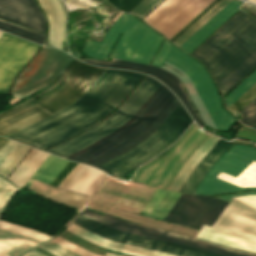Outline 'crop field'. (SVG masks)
Returning <instances> with one entry per match:
<instances>
[{
  "label": "crop field",
  "mask_w": 256,
  "mask_h": 256,
  "mask_svg": "<svg viewBox=\"0 0 256 256\" xmlns=\"http://www.w3.org/2000/svg\"><path fill=\"white\" fill-rule=\"evenodd\" d=\"M242 119L240 120L242 123L251 126L256 122V98L248 104L241 112Z\"/></svg>",
  "instance_id": "obj_33"
},
{
  "label": "crop field",
  "mask_w": 256,
  "mask_h": 256,
  "mask_svg": "<svg viewBox=\"0 0 256 256\" xmlns=\"http://www.w3.org/2000/svg\"><path fill=\"white\" fill-rule=\"evenodd\" d=\"M231 143L219 139L218 142L211 148V150L205 155V157L198 163L194 168L180 191L193 193L194 189L208 171V169L214 164V162L221 156V154L226 150V148Z\"/></svg>",
  "instance_id": "obj_22"
},
{
  "label": "crop field",
  "mask_w": 256,
  "mask_h": 256,
  "mask_svg": "<svg viewBox=\"0 0 256 256\" xmlns=\"http://www.w3.org/2000/svg\"><path fill=\"white\" fill-rule=\"evenodd\" d=\"M242 3L243 2L241 1L232 0L180 47L190 53L234 13H236L239 10L237 7Z\"/></svg>",
  "instance_id": "obj_20"
},
{
  "label": "crop field",
  "mask_w": 256,
  "mask_h": 256,
  "mask_svg": "<svg viewBox=\"0 0 256 256\" xmlns=\"http://www.w3.org/2000/svg\"><path fill=\"white\" fill-rule=\"evenodd\" d=\"M76 165L77 163L69 161L50 185L58 187ZM106 175L96 168L78 164L59 187L92 196Z\"/></svg>",
  "instance_id": "obj_17"
},
{
  "label": "crop field",
  "mask_w": 256,
  "mask_h": 256,
  "mask_svg": "<svg viewBox=\"0 0 256 256\" xmlns=\"http://www.w3.org/2000/svg\"><path fill=\"white\" fill-rule=\"evenodd\" d=\"M8 139H5L3 137H0V150L2 147L7 143Z\"/></svg>",
  "instance_id": "obj_41"
},
{
  "label": "crop field",
  "mask_w": 256,
  "mask_h": 256,
  "mask_svg": "<svg viewBox=\"0 0 256 256\" xmlns=\"http://www.w3.org/2000/svg\"><path fill=\"white\" fill-rule=\"evenodd\" d=\"M246 193L256 192L237 194ZM222 196L228 195L217 197ZM222 198L230 201L229 204L212 227L203 225L197 238L236 249L256 252V194Z\"/></svg>",
  "instance_id": "obj_5"
},
{
  "label": "crop field",
  "mask_w": 256,
  "mask_h": 256,
  "mask_svg": "<svg viewBox=\"0 0 256 256\" xmlns=\"http://www.w3.org/2000/svg\"><path fill=\"white\" fill-rule=\"evenodd\" d=\"M255 97H256V84H254L248 91H246L240 98H238L227 109L236 115L243 107H245Z\"/></svg>",
  "instance_id": "obj_32"
},
{
  "label": "crop field",
  "mask_w": 256,
  "mask_h": 256,
  "mask_svg": "<svg viewBox=\"0 0 256 256\" xmlns=\"http://www.w3.org/2000/svg\"><path fill=\"white\" fill-rule=\"evenodd\" d=\"M82 60L85 62L97 64L100 66H109V67H115V68L130 69V70L140 71V72H144V73L151 74V75L155 76L160 81H162L163 83L168 85L180 97V99L186 105V107L190 111V113L193 116V118L195 119V121L197 123H199L201 126H203V123L201 122L197 112L195 111L191 102L189 101L186 94L184 93L179 79L177 77H175L174 75H172L156 66L122 61V60H116V59H112L111 62H101V61H95V60H90V59H82Z\"/></svg>",
  "instance_id": "obj_18"
},
{
  "label": "crop field",
  "mask_w": 256,
  "mask_h": 256,
  "mask_svg": "<svg viewBox=\"0 0 256 256\" xmlns=\"http://www.w3.org/2000/svg\"><path fill=\"white\" fill-rule=\"evenodd\" d=\"M96 245L103 246L109 249H113L119 252L123 253H128V254H133L137 256H176V255H171L167 253H162L158 251H153V250H148L144 248H139L135 246H130L126 244H121L117 242H113L110 240H107L105 238L99 237L73 223L70 224V226L66 229Z\"/></svg>",
  "instance_id": "obj_21"
},
{
  "label": "crop field",
  "mask_w": 256,
  "mask_h": 256,
  "mask_svg": "<svg viewBox=\"0 0 256 256\" xmlns=\"http://www.w3.org/2000/svg\"><path fill=\"white\" fill-rule=\"evenodd\" d=\"M244 9H246L247 11L253 13L254 15H256V6H253L251 4L248 3H244L242 6H240Z\"/></svg>",
  "instance_id": "obj_39"
},
{
  "label": "crop field",
  "mask_w": 256,
  "mask_h": 256,
  "mask_svg": "<svg viewBox=\"0 0 256 256\" xmlns=\"http://www.w3.org/2000/svg\"><path fill=\"white\" fill-rule=\"evenodd\" d=\"M0 17L44 33L45 21L34 0H0Z\"/></svg>",
  "instance_id": "obj_19"
},
{
  "label": "crop field",
  "mask_w": 256,
  "mask_h": 256,
  "mask_svg": "<svg viewBox=\"0 0 256 256\" xmlns=\"http://www.w3.org/2000/svg\"><path fill=\"white\" fill-rule=\"evenodd\" d=\"M52 241L66 247V248H68V249H70V250H72V251H74V252H76V253H78L82 256H98V255H94V254H92V253H90V252H88V251H86V250H84V249H82V248H80V247L62 239V238H60V237H57V238L53 239Z\"/></svg>",
  "instance_id": "obj_36"
},
{
  "label": "crop field",
  "mask_w": 256,
  "mask_h": 256,
  "mask_svg": "<svg viewBox=\"0 0 256 256\" xmlns=\"http://www.w3.org/2000/svg\"><path fill=\"white\" fill-rule=\"evenodd\" d=\"M107 226H110L112 228L118 229L120 231L128 232V233H133L141 236H146L150 238H155L163 241H168L172 243H177L225 256H256V254H250V253H245L241 252L238 250L218 246L215 244H211L208 242H204L201 240L194 239L189 236H184V235H179V234H174V233H169L153 228H148L144 226H139L131 223H127L125 221L119 220L117 218H114L110 215H105L104 217L95 214L89 210L81 212Z\"/></svg>",
  "instance_id": "obj_13"
},
{
  "label": "crop field",
  "mask_w": 256,
  "mask_h": 256,
  "mask_svg": "<svg viewBox=\"0 0 256 256\" xmlns=\"http://www.w3.org/2000/svg\"><path fill=\"white\" fill-rule=\"evenodd\" d=\"M0 35H1V33H0Z\"/></svg>",
  "instance_id": "obj_46"
},
{
  "label": "crop field",
  "mask_w": 256,
  "mask_h": 256,
  "mask_svg": "<svg viewBox=\"0 0 256 256\" xmlns=\"http://www.w3.org/2000/svg\"><path fill=\"white\" fill-rule=\"evenodd\" d=\"M174 97L175 96L161 84L137 113L117 131L66 158L89 163L110 153L132 140L148 127Z\"/></svg>",
  "instance_id": "obj_7"
},
{
  "label": "crop field",
  "mask_w": 256,
  "mask_h": 256,
  "mask_svg": "<svg viewBox=\"0 0 256 256\" xmlns=\"http://www.w3.org/2000/svg\"><path fill=\"white\" fill-rule=\"evenodd\" d=\"M105 256H125V255H119V254H114V253L107 252Z\"/></svg>",
  "instance_id": "obj_42"
},
{
  "label": "crop field",
  "mask_w": 256,
  "mask_h": 256,
  "mask_svg": "<svg viewBox=\"0 0 256 256\" xmlns=\"http://www.w3.org/2000/svg\"><path fill=\"white\" fill-rule=\"evenodd\" d=\"M73 223L113 241L149 248L180 256H221L181 245L154 240L146 237L132 235L107 227L83 214H79Z\"/></svg>",
  "instance_id": "obj_15"
},
{
  "label": "crop field",
  "mask_w": 256,
  "mask_h": 256,
  "mask_svg": "<svg viewBox=\"0 0 256 256\" xmlns=\"http://www.w3.org/2000/svg\"><path fill=\"white\" fill-rule=\"evenodd\" d=\"M73 59L54 48L44 47L17 79L12 95L22 99L53 82Z\"/></svg>",
  "instance_id": "obj_11"
},
{
  "label": "crop field",
  "mask_w": 256,
  "mask_h": 256,
  "mask_svg": "<svg viewBox=\"0 0 256 256\" xmlns=\"http://www.w3.org/2000/svg\"><path fill=\"white\" fill-rule=\"evenodd\" d=\"M213 0H165L144 20L169 39Z\"/></svg>",
  "instance_id": "obj_14"
},
{
  "label": "crop field",
  "mask_w": 256,
  "mask_h": 256,
  "mask_svg": "<svg viewBox=\"0 0 256 256\" xmlns=\"http://www.w3.org/2000/svg\"><path fill=\"white\" fill-rule=\"evenodd\" d=\"M29 149L30 147L17 143L6 158L1 162L0 174L7 177Z\"/></svg>",
  "instance_id": "obj_28"
},
{
  "label": "crop field",
  "mask_w": 256,
  "mask_h": 256,
  "mask_svg": "<svg viewBox=\"0 0 256 256\" xmlns=\"http://www.w3.org/2000/svg\"><path fill=\"white\" fill-rule=\"evenodd\" d=\"M26 255H28V256H45V255H43V254H41V253H39V252H37L35 250L27 253Z\"/></svg>",
  "instance_id": "obj_40"
},
{
  "label": "crop field",
  "mask_w": 256,
  "mask_h": 256,
  "mask_svg": "<svg viewBox=\"0 0 256 256\" xmlns=\"http://www.w3.org/2000/svg\"><path fill=\"white\" fill-rule=\"evenodd\" d=\"M39 47L40 45L6 33L2 35L0 38V92H7L13 78Z\"/></svg>",
  "instance_id": "obj_16"
},
{
  "label": "crop field",
  "mask_w": 256,
  "mask_h": 256,
  "mask_svg": "<svg viewBox=\"0 0 256 256\" xmlns=\"http://www.w3.org/2000/svg\"><path fill=\"white\" fill-rule=\"evenodd\" d=\"M106 70L86 65L74 58L60 77L48 88L0 113V135L7 137L72 105L92 87ZM64 78V82L57 89L30 104L22 106L55 88Z\"/></svg>",
  "instance_id": "obj_4"
},
{
  "label": "crop field",
  "mask_w": 256,
  "mask_h": 256,
  "mask_svg": "<svg viewBox=\"0 0 256 256\" xmlns=\"http://www.w3.org/2000/svg\"><path fill=\"white\" fill-rule=\"evenodd\" d=\"M48 156L49 154L32 148L8 179L19 188L23 187Z\"/></svg>",
  "instance_id": "obj_24"
},
{
  "label": "crop field",
  "mask_w": 256,
  "mask_h": 256,
  "mask_svg": "<svg viewBox=\"0 0 256 256\" xmlns=\"http://www.w3.org/2000/svg\"><path fill=\"white\" fill-rule=\"evenodd\" d=\"M219 0H214L209 6H207L200 14H198L192 21H190L183 29H181L170 40L173 42L180 37L188 28H190L199 18H201L209 9H211Z\"/></svg>",
  "instance_id": "obj_38"
},
{
  "label": "crop field",
  "mask_w": 256,
  "mask_h": 256,
  "mask_svg": "<svg viewBox=\"0 0 256 256\" xmlns=\"http://www.w3.org/2000/svg\"><path fill=\"white\" fill-rule=\"evenodd\" d=\"M108 1L111 4H113L116 8L122 11L129 12L142 0H108Z\"/></svg>",
  "instance_id": "obj_37"
},
{
  "label": "crop field",
  "mask_w": 256,
  "mask_h": 256,
  "mask_svg": "<svg viewBox=\"0 0 256 256\" xmlns=\"http://www.w3.org/2000/svg\"><path fill=\"white\" fill-rule=\"evenodd\" d=\"M67 162L68 161H65L59 157L50 155L48 159L43 163V165L41 164L42 166L27 182L25 187L28 188L35 179L50 184Z\"/></svg>",
  "instance_id": "obj_27"
},
{
  "label": "crop field",
  "mask_w": 256,
  "mask_h": 256,
  "mask_svg": "<svg viewBox=\"0 0 256 256\" xmlns=\"http://www.w3.org/2000/svg\"><path fill=\"white\" fill-rule=\"evenodd\" d=\"M235 154L256 160V148H252L244 145L232 144L230 148L223 154V156L211 168V170L208 172V174L205 176V178L202 180V182L196 189L195 193L219 194V193L236 192L240 190L256 189V187H246V186H256V161L250 160L244 157H240ZM214 181L216 183H220V184H224L232 187H246V188H232V187L213 183Z\"/></svg>",
  "instance_id": "obj_6"
},
{
  "label": "crop field",
  "mask_w": 256,
  "mask_h": 256,
  "mask_svg": "<svg viewBox=\"0 0 256 256\" xmlns=\"http://www.w3.org/2000/svg\"><path fill=\"white\" fill-rule=\"evenodd\" d=\"M23 256H25V255H23Z\"/></svg>",
  "instance_id": "obj_45"
},
{
  "label": "crop field",
  "mask_w": 256,
  "mask_h": 256,
  "mask_svg": "<svg viewBox=\"0 0 256 256\" xmlns=\"http://www.w3.org/2000/svg\"><path fill=\"white\" fill-rule=\"evenodd\" d=\"M144 75L108 69L72 106L7 138L44 150L100 121Z\"/></svg>",
  "instance_id": "obj_2"
},
{
  "label": "crop field",
  "mask_w": 256,
  "mask_h": 256,
  "mask_svg": "<svg viewBox=\"0 0 256 256\" xmlns=\"http://www.w3.org/2000/svg\"><path fill=\"white\" fill-rule=\"evenodd\" d=\"M119 36L110 57L146 64H149L164 38L136 20L134 16L123 13L105 34L101 43L86 40L85 53L94 58L107 60ZM165 61L181 69L190 78L216 128L229 129L236 120L223 109L215 85L199 62L180 51L167 39L152 64L162 67Z\"/></svg>",
  "instance_id": "obj_1"
},
{
  "label": "crop field",
  "mask_w": 256,
  "mask_h": 256,
  "mask_svg": "<svg viewBox=\"0 0 256 256\" xmlns=\"http://www.w3.org/2000/svg\"><path fill=\"white\" fill-rule=\"evenodd\" d=\"M256 83V70L223 98L226 108Z\"/></svg>",
  "instance_id": "obj_31"
},
{
  "label": "crop field",
  "mask_w": 256,
  "mask_h": 256,
  "mask_svg": "<svg viewBox=\"0 0 256 256\" xmlns=\"http://www.w3.org/2000/svg\"><path fill=\"white\" fill-rule=\"evenodd\" d=\"M219 138L210 135L208 139L199 147V149L190 157V159L184 164L177 177L169 187L170 190L179 191L193 168L204 157V155L210 150V148L217 142Z\"/></svg>",
  "instance_id": "obj_26"
},
{
  "label": "crop field",
  "mask_w": 256,
  "mask_h": 256,
  "mask_svg": "<svg viewBox=\"0 0 256 256\" xmlns=\"http://www.w3.org/2000/svg\"><path fill=\"white\" fill-rule=\"evenodd\" d=\"M0 29L21 36L23 38L35 41L37 43L43 44L44 35L34 32L32 30L8 23L3 20H0Z\"/></svg>",
  "instance_id": "obj_30"
},
{
  "label": "crop field",
  "mask_w": 256,
  "mask_h": 256,
  "mask_svg": "<svg viewBox=\"0 0 256 256\" xmlns=\"http://www.w3.org/2000/svg\"><path fill=\"white\" fill-rule=\"evenodd\" d=\"M179 195L178 192L157 189L141 214L162 220Z\"/></svg>",
  "instance_id": "obj_25"
},
{
  "label": "crop field",
  "mask_w": 256,
  "mask_h": 256,
  "mask_svg": "<svg viewBox=\"0 0 256 256\" xmlns=\"http://www.w3.org/2000/svg\"><path fill=\"white\" fill-rule=\"evenodd\" d=\"M11 140L0 151V162L15 146ZM19 189L0 176V216L10 197ZM54 237L0 220V256H21Z\"/></svg>",
  "instance_id": "obj_10"
},
{
  "label": "crop field",
  "mask_w": 256,
  "mask_h": 256,
  "mask_svg": "<svg viewBox=\"0 0 256 256\" xmlns=\"http://www.w3.org/2000/svg\"><path fill=\"white\" fill-rule=\"evenodd\" d=\"M162 0H143L130 13L141 16L142 18L149 13Z\"/></svg>",
  "instance_id": "obj_34"
},
{
  "label": "crop field",
  "mask_w": 256,
  "mask_h": 256,
  "mask_svg": "<svg viewBox=\"0 0 256 256\" xmlns=\"http://www.w3.org/2000/svg\"><path fill=\"white\" fill-rule=\"evenodd\" d=\"M179 103L180 102L175 97L172 100V102L163 110V112L154 120V122L148 128H146L143 132H141L138 136H136L132 141H130L127 144L123 145L122 147L116 149L115 151L111 152L110 154H108L98 160H95L89 164H92V165L98 167V166L112 160L113 158L119 156L120 154L124 153L125 151L129 150L130 148L136 146L137 144L141 143L144 139H146L152 132H154L160 126V124L168 117V115L176 108V106Z\"/></svg>",
  "instance_id": "obj_23"
},
{
  "label": "crop field",
  "mask_w": 256,
  "mask_h": 256,
  "mask_svg": "<svg viewBox=\"0 0 256 256\" xmlns=\"http://www.w3.org/2000/svg\"><path fill=\"white\" fill-rule=\"evenodd\" d=\"M40 248H42L56 256H79V255H77V254L51 242V241L44 244Z\"/></svg>",
  "instance_id": "obj_35"
},
{
  "label": "crop field",
  "mask_w": 256,
  "mask_h": 256,
  "mask_svg": "<svg viewBox=\"0 0 256 256\" xmlns=\"http://www.w3.org/2000/svg\"><path fill=\"white\" fill-rule=\"evenodd\" d=\"M248 1H250V2H252V3H256V0H248Z\"/></svg>",
  "instance_id": "obj_43"
},
{
  "label": "crop field",
  "mask_w": 256,
  "mask_h": 256,
  "mask_svg": "<svg viewBox=\"0 0 256 256\" xmlns=\"http://www.w3.org/2000/svg\"><path fill=\"white\" fill-rule=\"evenodd\" d=\"M192 122L181 103L146 140L112 161L100 166L112 176L128 173L153 158L173 143Z\"/></svg>",
  "instance_id": "obj_8"
},
{
  "label": "crop field",
  "mask_w": 256,
  "mask_h": 256,
  "mask_svg": "<svg viewBox=\"0 0 256 256\" xmlns=\"http://www.w3.org/2000/svg\"><path fill=\"white\" fill-rule=\"evenodd\" d=\"M231 0L219 1L211 10H209L200 20H198L190 29H188L180 38L174 43L181 45L185 42L192 34H194L201 26H203L210 18H212L219 10H221Z\"/></svg>",
  "instance_id": "obj_29"
},
{
  "label": "crop field",
  "mask_w": 256,
  "mask_h": 256,
  "mask_svg": "<svg viewBox=\"0 0 256 256\" xmlns=\"http://www.w3.org/2000/svg\"><path fill=\"white\" fill-rule=\"evenodd\" d=\"M191 54L224 95L256 67V20L240 10Z\"/></svg>",
  "instance_id": "obj_3"
},
{
  "label": "crop field",
  "mask_w": 256,
  "mask_h": 256,
  "mask_svg": "<svg viewBox=\"0 0 256 256\" xmlns=\"http://www.w3.org/2000/svg\"><path fill=\"white\" fill-rule=\"evenodd\" d=\"M226 205L218 198L181 193L164 220L200 230L203 224L212 226Z\"/></svg>",
  "instance_id": "obj_12"
},
{
  "label": "crop field",
  "mask_w": 256,
  "mask_h": 256,
  "mask_svg": "<svg viewBox=\"0 0 256 256\" xmlns=\"http://www.w3.org/2000/svg\"><path fill=\"white\" fill-rule=\"evenodd\" d=\"M160 84L156 79L147 76L123 105L106 120L46 152L65 157L117 130L136 113Z\"/></svg>",
  "instance_id": "obj_9"
},
{
  "label": "crop field",
  "mask_w": 256,
  "mask_h": 256,
  "mask_svg": "<svg viewBox=\"0 0 256 256\" xmlns=\"http://www.w3.org/2000/svg\"><path fill=\"white\" fill-rule=\"evenodd\" d=\"M252 127L256 128V123L254 125H252Z\"/></svg>",
  "instance_id": "obj_44"
}]
</instances>
